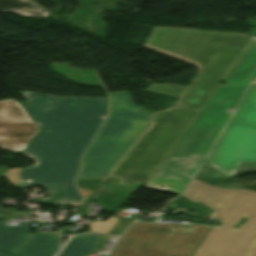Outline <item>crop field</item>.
Listing matches in <instances>:
<instances>
[{
    "mask_svg": "<svg viewBox=\"0 0 256 256\" xmlns=\"http://www.w3.org/2000/svg\"><path fill=\"white\" fill-rule=\"evenodd\" d=\"M190 107H191L190 105L177 102L171 109L181 108V109L193 110V109H190ZM193 111L199 112L198 110H193Z\"/></svg>",
    "mask_w": 256,
    "mask_h": 256,
    "instance_id": "crop-field-21",
    "label": "crop field"
},
{
    "mask_svg": "<svg viewBox=\"0 0 256 256\" xmlns=\"http://www.w3.org/2000/svg\"><path fill=\"white\" fill-rule=\"evenodd\" d=\"M84 200L86 199V197L90 194L91 190H87V189H81L79 188Z\"/></svg>",
    "mask_w": 256,
    "mask_h": 256,
    "instance_id": "crop-field-22",
    "label": "crop field"
},
{
    "mask_svg": "<svg viewBox=\"0 0 256 256\" xmlns=\"http://www.w3.org/2000/svg\"><path fill=\"white\" fill-rule=\"evenodd\" d=\"M101 237V234H82L71 238L57 256H84L85 253L92 254Z\"/></svg>",
    "mask_w": 256,
    "mask_h": 256,
    "instance_id": "crop-field-12",
    "label": "crop field"
},
{
    "mask_svg": "<svg viewBox=\"0 0 256 256\" xmlns=\"http://www.w3.org/2000/svg\"><path fill=\"white\" fill-rule=\"evenodd\" d=\"M25 215H27L25 212H9L0 208V216L2 217H20Z\"/></svg>",
    "mask_w": 256,
    "mask_h": 256,
    "instance_id": "crop-field-19",
    "label": "crop field"
},
{
    "mask_svg": "<svg viewBox=\"0 0 256 256\" xmlns=\"http://www.w3.org/2000/svg\"><path fill=\"white\" fill-rule=\"evenodd\" d=\"M135 218L136 216H132L131 218L122 217L108 233L113 235L122 234Z\"/></svg>",
    "mask_w": 256,
    "mask_h": 256,
    "instance_id": "crop-field-16",
    "label": "crop field"
},
{
    "mask_svg": "<svg viewBox=\"0 0 256 256\" xmlns=\"http://www.w3.org/2000/svg\"><path fill=\"white\" fill-rule=\"evenodd\" d=\"M39 128L13 100L0 101V147L21 152Z\"/></svg>",
    "mask_w": 256,
    "mask_h": 256,
    "instance_id": "crop-field-9",
    "label": "crop field"
},
{
    "mask_svg": "<svg viewBox=\"0 0 256 256\" xmlns=\"http://www.w3.org/2000/svg\"><path fill=\"white\" fill-rule=\"evenodd\" d=\"M182 196L214 209L209 216L223 223L211 228L193 256H256V192L215 188L193 178ZM242 216L249 219L233 228Z\"/></svg>",
    "mask_w": 256,
    "mask_h": 256,
    "instance_id": "crop-field-4",
    "label": "crop field"
},
{
    "mask_svg": "<svg viewBox=\"0 0 256 256\" xmlns=\"http://www.w3.org/2000/svg\"><path fill=\"white\" fill-rule=\"evenodd\" d=\"M0 10L40 17H46L48 14V12L27 0H0Z\"/></svg>",
    "mask_w": 256,
    "mask_h": 256,
    "instance_id": "crop-field-13",
    "label": "crop field"
},
{
    "mask_svg": "<svg viewBox=\"0 0 256 256\" xmlns=\"http://www.w3.org/2000/svg\"><path fill=\"white\" fill-rule=\"evenodd\" d=\"M187 87H181L176 85H155L150 84L147 88L148 91L167 94L171 96L179 97Z\"/></svg>",
    "mask_w": 256,
    "mask_h": 256,
    "instance_id": "crop-field-14",
    "label": "crop field"
},
{
    "mask_svg": "<svg viewBox=\"0 0 256 256\" xmlns=\"http://www.w3.org/2000/svg\"><path fill=\"white\" fill-rule=\"evenodd\" d=\"M118 220L119 219L116 217H111L106 222H92L90 224V230L92 232L95 231V232L107 233Z\"/></svg>",
    "mask_w": 256,
    "mask_h": 256,
    "instance_id": "crop-field-15",
    "label": "crop field"
},
{
    "mask_svg": "<svg viewBox=\"0 0 256 256\" xmlns=\"http://www.w3.org/2000/svg\"><path fill=\"white\" fill-rule=\"evenodd\" d=\"M199 172H201L209 177H228L205 164H203V166L201 167Z\"/></svg>",
    "mask_w": 256,
    "mask_h": 256,
    "instance_id": "crop-field-18",
    "label": "crop field"
},
{
    "mask_svg": "<svg viewBox=\"0 0 256 256\" xmlns=\"http://www.w3.org/2000/svg\"><path fill=\"white\" fill-rule=\"evenodd\" d=\"M109 238V235H103L93 254L102 252Z\"/></svg>",
    "mask_w": 256,
    "mask_h": 256,
    "instance_id": "crop-field-20",
    "label": "crop field"
},
{
    "mask_svg": "<svg viewBox=\"0 0 256 256\" xmlns=\"http://www.w3.org/2000/svg\"><path fill=\"white\" fill-rule=\"evenodd\" d=\"M59 249V232L30 234L16 251L23 256H53Z\"/></svg>",
    "mask_w": 256,
    "mask_h": 256,
    "instance_id": "crop-field-10",
    "label": "crop field"
},
{
    "mask_svg": "<svg viewBox=\"0 0 256 256\" xmlns=\"http://www.w3.org/2000/svg\"><path fill=\"white\" fill-rule=\"evenodd\" d=\"M253 83H255V84H256V77H255V79H254Z\"/></svg>",
    "mask_w": 256,
    "mask_h": 256,
    "instance_id": "crop-field-25",
    "label": "crop field"
},
{
    "mask_svg": "<svg viewBox=\"0 0 256 256\" xmlns=\"http://www.w3.org/2000/svg\"><path fill=\"white\" fill-rule=\"evenodd\" d=\"M209 227L135 223L109 256H190Z\"/></svg>",
    "mask_w": 256,
    "mask_h": 256,
    "instance_id": "crop-field-8",
    "label": "crop field"
},
{
    "mask_svg": "<svg viewBox=\"0 0 256 256\" xmlns=\"http://www.w3.org/2000/svg\"><path fill=\"white\" fill-rule=\"evenodd\" d=\"M255 74L256 36H253L249 47L225 77L228 85L215 91L156 173L144 184L145 187L180 194L228 120V109L236 107ZM162 185L165 188H160Z\"/></svg>",
    "mask_w": 256,
    "mask_h": 256,
    "instance_id": "crop-field-2",
    "label": "crop field"
},
{
    "mask_svg": "<svg viewBox=\"0 0 256 256\" xmlns=\"http://www.w3.org/2000/svg\"><path fill=\"white\" fill-rule=\"evenodd\" d=\"M241 162L253 165L239 166ZM205 164L230 177L256 171V85H251Z\"/></svg>",
    "mask_w": 256,
    "mask_h": 256,
    "instance_id": "crop-field-7",
    "label": "crop field"
},
{
    "mask_svg": "<svg viewBox=\"0 0 256 256\" xmlns=\"http://www.w3.org/2000/svg\"><path fill=\"white\" fill-rule=\"evenodd\" d=\"M22 108L40 128L21 152L36 165L23 168L17 187L41 184L48 198L33 201L67 204L82 201L73 184L79 159L107 115V98H57L20 91Z\"/></svg>",
    "mask_w": 256,
    "mask_h": 256,
    "instance_id": "crop-field-1",
    "label": "crop field"
},
{
    "mask_svg": "<svg viewBox=\"0 0 256 256\" xmlns=\"http://www.w3.org/2000/svg\"><path fill=\"white\" fill-rule=\"evenodd\" d=\"M249 44V34L155 27L143 46L199 66L179 102L201 110Z\"/></svg>",
    "mask_w": 256,
    "mask_h": 256,
    "instance_id": "crop-field-3",
    "label": "crop field"
},
{
    "mask_svg": "<svg viewBox=\"0 0 256 256\" xmlns=\"http://www.w3.org/2000/svg\"><path fill=\"white\" fill-rule=\"evenodd\" d=\"M7 220H0V250L15 253L30 231L27 222H20V226L6 227Z\"/></svg>",
    "mask_w": 256,
    "mask_h": 256,
    "instance_id": "crop-field-11",
    "label": "crop field"
},
{
    "mask_svg": "<svg viewBox=\"0 0 256 256\" xmlns=\"http://www.w3.org/2000/svg\"><path fill=\"white\" fill-rule=\"evenodd\" d=\"M197 112L172 110L155 114L153 125L123 158L109 177L145 183L158 169L190 124Z\"/></svg>",
    "mask_w": 256,
    "mask_h": 256,
    "instance_id": "crop-field-6",
    "label": "crop field"
},
{
    "mask_svg": "<svg viewBox=\"0 0 256 256\" xmlns=\"http://www.w3.org/2000/svg\"><path fill=\"white\" fill-rule=\"evenodd\" d=\"M0 256H8V255L5 253H0Z\"/></svg>",
    "mask_w": 256,
    "mask_h": 256,
    "instance_id": "crop-field-24",
    "label": "crop field"
},
{
    "mask_svg": "<svg viewBox=\"0 0 256 256\" xmlns=\"http://www.w3.org/2000/svg\"><path fill=\"white\" fill-rule=\"evenodd\" d=\"M19 173H20V168L7 169L3 177L7 178V180H10L11 182L10 184L16 185L18 181Z\"/></svg>",
    "mask_w": 256,
    "mask_h": 256,
    "instance_id": "crop-field-17",
    "label": "crop field"
},
{
    "mask_svg": "<svg viewBox=\"0 0 256 256\" xmlns=\"http://www.w3.org/2000/svg\"><path fill=\"white\" fill-rule=\"evenodd\" d=\"M108 95L109 115L85 151L76 181L105 178L150 125L145 109L131 102L129 92Z\"/></svg>",
    "mask_w": 256,
    "mask_h": 256,
    "instance_id": "crop-field-5",
    "label": "crop field"
},
{
    "mask_svg": "<svg viewBox=\"0 0 256 256\" xmlns=\"http://www.w3.org/2000/svg\"><path fill=\"white\" fill-rule=\"evenodd\" d=\"M5 171H6V169H0V177H2V175L4 174Z\"/></svg>",
    "mask_w": 256,
    "mask_h": 256,
    "instance_id": "crop-field-23",
    "label": "crop field"
}]
</instances>
